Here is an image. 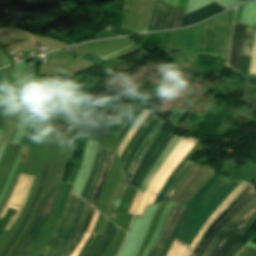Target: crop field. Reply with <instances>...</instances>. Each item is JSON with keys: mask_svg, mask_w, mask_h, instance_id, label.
<instances>
[{"mask_svg": "<svg viewBox=\"0 0 256 256\" xmlns=\"http://www.w3.org/2000/svg\"><path fill=\"white\" fill-rule=\"evenodd\" d=\"M240 182V180L232 182L221 176L194 206L176 238L189 246L203 223ZM177 239H175L167 256H184L187 247L182 245Z\"/></svg>", "mask_w": 256, "mask_h": 256, "instance_id": "crop-field-1", "label": "crop field"}, {"mask_svg": "<svg viewBox=\"0 0 256 256\" xmlns=\"http://www.w3.org/2000/svg\"><path fill=\"white\" fill-rule=\"evenodd\" d=\"M79 199L80 197H78L73 191H71L66 208H65L64 215L62 214L63 217L61 218L57 228L55 229L54 233L50 237L46 246L38 256H51L53 254L62 236L64 235L65 231L67 230L69 224L71 223L75 215V212L78 207Z\"/></svg>", "mask_w": 256, "mask_h": 256, "instance_id": "crop-field-2", "label": "crop field"}, {"mask_svg": "<svg viewBox=\"0 0 256 256\" xmlns=\"http://www.w3.org/2000/svg\"><path fill=\"white\" fill-rule=\"evenodd\" d=\"M57 189L47 193L43 206L36 217L35 221L33 222L24 242L16 251L13 256H24L30 247L35 242L36 238L38 237L39 233L41 232L47 218L49 217L52 206L56 197Z\"/></svg>", "mask_w": 256, "mask_h": 256, "instance_id": "crop-field-3", "label": "crop field"}, {"mask_svg": "<svg viewBox=\"0 0 256 256\" xmlns=\"http://www.w3.org/2000/svg\"><path fill=\"white\" fill-rule=\"evenodd\" d=\"M186 3L187 0H180L178 7L185 8ZM176 9L177 8L174 6L168 5L157 0L152 14L148 32L171 28L176 13Z\"/></svg>", "mask_w": 256, "mask_h": 256, "instance_id": "crop-field-4", "label": "crop field"}, {"mask_svg": "<svg viewBox=\"0 0 256 256\" xmlns=\"http://www.w3.org/2000/svg\"><path fill=\"white\" fill-rule=\"evenodd\" d=\"M33 177L26 176V175H20L18 182L14 188V191L10 197V200L1 214L0 218H2L7 210L8 207L17 209V213L13 215L8 223V225L5 227V230H9L15 219L17 218L25 200L27 197V194L29 192L31 183H32Z\"/></svg>", "mask_w": 256, "mask_h": 256, "instance_id": "crop-field-5", "label": "crop field"}, {"mask_svg": "<svg viewBox=\"0 0 256 256\" xmlns=\"http://www.w3.org/2000/svg\"><path fill=\"white\" fill-rule=\"evenodd\" d=\"M169 136H170V134H167L161 130L159 132V134L155 137V139L150 144L142 162L140 163V165L138 166V168L136 169V171L134 173V176L130 182L131 186L136 187L140 178L146 171L147 167L149 166V164L151 163V161L153 160V158L158 153V151L162 147L163 143Z\"/></svg>", "mask_w": 256, "mask_h": 256, "instance_id": "crop-field-6", "label": "crop field"}, {"mask_svg": "<svg viewBox=\"0 0 256 256\" xmlns=\"http://www.w3.org/2000/svg\"><path fill=\"white\" fill-rule=\"evenodd\" d=\"M246 25L234 24L228 65L239 71Z\"/></svg>", "mask_w": 256, "mask_h": 256, "instance_id": "crop-field-7", "label": "crop field"}, {"mask_svg": "<svg viewBox=\"0 0 256 256\" xmlns=\"http://www.w3.org/2000/svg\"><path fill=\"white\" fill-rule=\"evenodd\" d=\"M47 171H48V165L44 164L43 166V171H42V175H41V178L39 180V183L36 187V190H35V194H34V197L32 199V202L30 204V208L28 209L24 219L22 220V222L20 223V225L17 227L15 233L12 235V237L8 240V242L5 244L4 248L2 249L1 253H0V256H5L9 249L11 248V246L13 245L14 241L16 240V238L18 237L20 231L22 230L24 224L26 223L27 219L29 218L33 208L35 207L37 201H38V198H39V195L42 191V188H43V184H44V181L46 179V175H47Z\"/></svg>", "mask_w": 256, "mask_h": 256, "instance_id": "crop-field-8", "label": "crop field"}, {"mask_svg": "<svg viewBox=\"0 0 256 256\" xmlns=\"http://www.w3.org/2000/svg\"><path fill=\"white\" fill-rule=\"evenodd\" d=\"M190 139H181L179 144L176 146L174 151L171 153V155L168 157V159L165 161V163L162 165V167L159 169L158 173L156 174L155 178L153 181L150 183V185L147 187L146 192L138 206V210L136 214H142L144 207L147 203V200L154 189L155 185L159 181L160 177L162 174L165 172L169 164L172 162V160L175 158V156L178 154V152L182 149V147L189 141Z\"/></svg>", "mask_w": 256, "mask_h": 256, "instance_id": "crop-field-9", "label": "crop field"}, {"mask_svg": "<svg viewBox=\"0 0 256 256\" xmlns=\"http://www.w3.org/2000/svg\"><path fill=\"white\" fill-rule=\"evenodd\" d=\"M224 10H226V9L220 7L219 5H217L213 2L210 5L202 8V9H199V10L194 11L188 15H185L183 18L181 27L197 23V22L202 21L206 18H209L215 14H218Z\"/></svg>", "mask_w": 256, "mask_h": 256, "instance_id": "crop-field-10", "label": "crop field"}, {"mask_svg": "<svg viewBox=\"0 0 256 256\" xmlns=\"http://www.w3.org/2000/svg\"><path fill=\"white\" fill-rule=\"evenodd\" d=\"M197 142V140H193L191 139L184 147L183 149L180 151V153L176 156V158L173 160V162L170 164V166L168 167V169L166 170V172L163 174V176L161 177L160 181L158 182V184L156 185L154 191L152 192L147 205L153 204L156 195L158 193V191L160 190V188L162 187L163 183L165 182V180L167 179V177L170 175V173L175 169V167L178 165V163L185 157V155L190 151V149L195 145V143ZM146 205V206H147Z\"/></svg>", "mask_w": 256, "mask_h": 256, "instance_id": "crop-field-11", "label": "crop field"}, {"mask_svg": "<svg viewBox=\"0 0 256 256\" xmlns=\"http://www.w3.org/2000/svg\"><path fill=\"white\" fill-rule=\"evenodd\" d=\"M253 187L249 184L241 193H239L236 198L227 206V208L220 214V216L211 224V226L206 230L201 240L195 247L193 253L196 256L199 252L202 244L211 234L213 229L219 224V222L232 210V208L252 189Z\"/></svg>", "mask_w": 256, "mask_h": 256, "instance_id": "crop-field-12", "label": "crop field"}, {"mask_svg": "<svg viewBox=\"0 0 256 256\" xmlns=\"http://www.w3.org/2000/svg\"><path fill=\"white\" fill-rule=\"evenodd\" d=\"M247 185H248V183L242 181L240 183V185L229 195V197L216 209V211L212 214V216L204 223V225H203L202 229L200 230L199 234L197 235V237L194 239V241L189 246L192 249V251H193L194 247L196 246V244L198 243L201 236L203 235L204 231L218 217V215L226 208V206L233 200V198L239 192H241Z\"/></svg>", "mask_w": 256, "mask_h": 256, "instance_id": "crop-field-13", "label": "crop field"}, {"mask_svg": "<svg viewBox=\"0 0 256 256\" xmlns=\"http://www.w3.org/2000/svg\"><path fill=\"white\" fill-rule=\"evenodd\" d=\"M256 196V192L254 188L233 208V210L221 221V223L214 229L212 234L209 236V238L205 241L203 244L199 254L197 256H202L204 250L208 246L209 242L213 238V236L216 234V232L223 227L232 217H234L251 199H253Z\"/></svg>", "mask_w": 256, "mask_h": 256, "instance_id": "crop-field-14", "label": "crop field"}, {"mask_svg": "<svg viewBox=\"0 0 256 256\" xmlns=\"http://www.w3.org/2000/svg\"><path fill=\"white\" fill-rule=\"evenodd\" d=\"M254 199L251 200L231 221H229L223 228H221L218 233L214 236L212 241L210 242L209 246L205 250L203 256H209L213 247L216 245V243L219 241L221 236L227 232L237 221H239L254 205H255Z\"/></svg>", "mask_w": 256, "mask_h": 256, "instance_id": "crop-field-15", "label": "crop field"}, {"mask_svg": "<svg viewBox=\"0 0 256 256\" xmlns=\"http://www.w3.org/2000/svg\"><path fill=\"white\" fill-rule=\"evenodd\" d=\"M165 122L164 121H160L158 123V125L153 129V131L149 134V136L146 138V140L143 142L139 152L137 153V155L135 156L132 166L125 178V182L129 183L135 169L137 168L140 160L142 159V157L144 156L149 144L151 143V141L154 139V137L157 135V133L160 131V128L163 126Z\"/></svg>", "mask_w": 256, "mask_h": 256, "instance_id": "crop-field-16", "label": "crop field"}, {"mask_svg": "<svg viewBox=\"0 0 256 256\" xmlns=\"http://www.w3.org/2000/svg\"><path fill=\"white\" fill-rule=\"evenodd\" d=\"M256 212V206L253 207L233 228H231L217 243L215 246L212 254L210 256H218L223 246L230 240V238L236 234L241 227L249 221V219L254 215Z\"/></svg>", "mask_w": 256, "mask_h": 256, "instance_id": "crop-field-17", "label": "crop field"}, {"mask_svg": "<svg viewBox=\"0 0 256 256\" xmlns=\"http://www.w3.org/2000/svg\"><path fill=\"white\" fill-rule=\"evenodd\" d=\"M180 139V136L175 135L172 140L169 142V144L167 145V147L164 149V151L162 152V154L160 155V157L157 159V161L155 162V164L153 165L152 169L150 170V172L148 173V175L146 176V178L144 179V181L142 182L141 186L139 187V191L143 192V190L147 187L148 183L150 182V180L152 179L153 175L155 174V172L157 171V169L159 168V166L163 163V161L166 159V157L168 156V154L170 153V151L173 149V147L177 144L178 140Z\"/></svg>", "mask_w": 256, "mask_h": 256, "instance_id": "crop-field-18", "label": "crop field"}, {"mask_svg": "<svg viewBox=\"0 0 256 256\" xmlns=\"http://www.w3.org/2000/svg\"><path fill=\"white\" fill-rule=\"evenodd\" d=\"M160 119H158L156 116L151 120V122L147 125V127L144 129V131L141 133L139 139L137 140L136 144L134 145L132 151L130 152L128 158L126 159L123 169L122 171L124 172V174L126 175L132 160L137 152V150L139 149L140 145L142 144V142L144 141V139L146 138V136L149 134V132L152 130V128L157 124V122Z\"/></svg>", "mask_w": 256, "mask_h": 256, "instance_id": "crop-field-19", "label": "crop field"}, {"mask_svg": "<svg viewBox=\"0 0 256 256\" xmlns=\"http://www.w3.org/2000/svg\"><path fill=\"white\" fill-rule=\"evenodd\" d=\"M84 201L81 199L80 200V204H79V208H78V211L71 223V225L69 226L68 230L66 231L60 245L58 246V248L56 249V251L54 252V254L52 256H58L59 253L61 252V250L63 249V247L65 246L66 242L68 241L69 237L71 236L77 222H78V219L82 213V210H83V206H84Z\"/></svg>", "mask_w": 256, "mask_h": 256, "instance_id": "crop-field-20", "label": "crop field"}, {"mask_svg": "<svg viewBox=\"0 0 256 256\" xmlns=\"http://www.w3.org/2000/svg\"><path fill=\"white\" fill-rule=\"evenodd\" d=\"M155 116L154 113L150 112L149 115L146 117V119L144 120V122L141 124V126L139 127V129L136 131V133L133 135V137L131 138L130 142L128 143L127 147L125 148V150L122 152L121 154V161H122V165L125 161V159L127 158L132 146L134 145V143L136 142V140L138 139L140 133L142 132V130L145 128V126L150 122V120Z\"/></svg>", "mask_w": 256, "mask_h": 256, "instance_id": "crop-field-21", "label": "crop field"}, {"mask_svg": "<svg viewBox=\"0 0 256 256\" xmlns=\"http://www.w3.org/2000/svg\"><path fill=\"white\" fill-rule=\"evenodd\" d=\"M149 113V111L144 110L142 112V114L138 117V119L136 120V122L134 123V125L131 127V129L129 130V132L126 134V136L124 137V139L122 140V142L120 143L119 147H118V151H119V157L121 152L123 151V149L126 147L128 141L130 140V138L132 137V135L135 133V131L138 129V127L140 126V124L142 123V121L145 119V117L147 116V114Z\"/></svg>", "mask_w": 256, "mask_h": 256, "instance_id": "crop-field-22", "label": "crop field"}, {"mask_svg": "<svg viewBox=\"0 0 256 256\" xmlns=\"http://www.w3.org/2000/svg\"><path fill=\"white\" fill-rule=\"evenodd\" d=\"M201 169V166L195 165L189 173L184 177V179L181 181L177 189L175 190L173 196L171 197L170 201L175 202L177 197L180 195V193L183 191V189L187 186V184L191 181V179L197 174V172Z\"/></svg>", "mask_w": 256, "mask_h": 256, "instance_id": "crop-field-23", "label": "crop field"}, {"mask_svg": "<svg viewBox=\"0 0 256 256\" xmlns=\"http://www.w3.org/2000/svg\"><path fill=\"white\" fill-rule=\"evenodd\" d=\"M188 160L183 159L182 162L177 166V168L174 170V172L171 174V176L168 178V180L165 182L163 188L161 189L156 201L160 202L172 182L175 180V178L178 176V174L181 172V170L184 168V166L187 164ZM164 198V197H163ZM163 200V199H162Z\"/></svg>", "mask_w": 256, "mask_h": 256, "instance_id": "crop-field-24", "label": "crop field"}, {"mask_svg": "<svg viewBox=\"0 0 256 256\" xmlns=\"http://www.w3.org/2000/svg\"><path fill=\"white\" fill-rule=\"evenodd\" d=\"M113 154H114V151L110 150V152H109V154L107 156V161H106L105 168H104L103 173H102V175H101V177H100V179H99V181H98V183L96 185V188H95V191H94L91 203H90V205L93 206V207L95 206V202H96L97 196L99 194L100 188H101L102 183L104 181V178H105V176L107 174V171H108V169L110 167V164H111V162L113 160Z\"/></svg>", "mask_w": 256, "mask_h": 256, "instance_id": "crop-field-25", "label": "crop field"}, {"mask_svg": "<svg viewBox=\"0 0 256 256\" xmlns=\"http://www.w3.org/2000/svg\"><path fill=\"white\" fill-rule=\"evenodd\" d=\"M108 150H109L108 148H105V147L103 148V152H102V155H101V159H100V162H99V165H98L97 172L95 174L93 183H92V185H91V187H90V189L88 191V194H87L86 201L88 203H90V200H91V197H92V194H93L96 182H97V180H98L99 176L101 175L102 170L104 168L105 160H106V156H107Z\"/></svg>", "mask_w": 256, "mask_h": 256, "instance_id": "crop-field-26", "label": "crop field"}, {"mask_svg": "<svg viewBox=\"0 0 256 256\" xmlns=\"http://www.w3.org/2000/svg\"><path fill=\"white\" fill-rule=\"evenodd\" d=\"M210 169V167L204 165L199 173L193 178V180L188 184V186L181 193L179 198L176 200L178 203H182L188 193L193 189V187L198 183V181L203 177V175Z\"/></svg>", "mask_w": 256, "mask_h": 256, "instance_id": "crop-field-27", "label": "crop field"}, {"mask_svg": "<svg viewBox=\"0 0 256 256\" xmlns=\"http://www.w3.org/2000/svg\"><path fill=\"white\" fill-rule=\"evenodd\" d=\"M179 207H180V204L174 203V205H173V207H172V209H171V211H170V214H169L168 218L166 219V221H165V223H164V225H163V227H162V229H161V231H160V233H159V235H158V237H157V240H156V242L154 243V245H153L151 251L149 252L148 256H149L153 251H155V250L157 249V247H158V245H159V243H160V241H161V239H162V237H163V235H164V233H165V231H166V229H167L169 223L171 222V220H172L174 214H176V212H177V210L179 209Z\"/></svg>", "mask_w": 256, "mask_h": 256, "instance_id": "crop-field-28", "label": "crop field"}, {"mask_svg": "<svg viewBox=\"0 0 256 256\" xmlns=\"http://www.w3.org/2000/svg\"><path fill=\"white\" fill-rule=\"evenodd\" d=\"M88 210H89V205L87 203H85V207H84V211H83V214L76 226V229L74 231V233L72 234V236L70 237L69 241L67 242L66 246L64 247L63 251L61 252V254L59 256H64L67 252V250L69 249V247L71 246V244L73 243L74 239L76 238L79 230L81 229V227L83 226L84 224V221H85V218L87 216V213H88Z\"/></svg>", "mask_w": 256, "mask_h": 256, "instance_id": "crop-field-29", "label": "crop field"}, {"mask_svg": "<svg viewBox=\"0 0 256 256\" xmlns=\"http://www.w3.org/2000/svg\"><path fill=\"white\" fill-rule=\"evenodd\" d=\"M102 148L101 146H98L97 147V151H96V154H95V157H94V161H93V165H92V169H91V173H90V176L82 190V194H81V197L82 198H86V194H87V190L93 180V177H94V174L96 172V168H97V164H98V161H99V158H100V155H101V151H102Z\"/></svg>", "mask_w": 256, "mask_h": 256, "instance_id": "crop-field-30", "label": "crop field"}, {"mask_svg": "<svg viewBox=\"0 0 256 256\" xmlns=\"http://www.w3.org/2000/svg\"><path fill=\"white\" fill-rule=\"evenodd\" d=\"M126 103L122 102L120 99H116V101L113 103V105L110 107V109L105 114L109 122L112 123L117 118L119 113L122 111V109L125 107Z\"/></svg>", "mask_w": 256, "mask_h": 256, "instance_id": "crop-field-31", "label": "crop field"}, {"mask_svg": "<svg viewBox=\"0 0 256 256\" xmlns=\"http://www.w3.org/2000/svg\"><path fill=\"white\" fill-rule=\"evenodd\" d=\"M94 212V208L90 207V210H89V214H88V217L86 219V222H85V225L82 227L80 233L78 234L75 242L73 243V245L71 246V248L69 249V251L67 252V254L65 256H70L74 250L76 249V247L78 246L80 240L82 239L83 235L85 234L88 226H89V223L91 221V217H92V214Z\"/></svg>", "mask_w": 256, "mask_h": 256, "instance_id": "crop-field-32", "label": "crop field"}, {"mask_svg": "<svg viewBox=\"0 0 256 256\" xmlns=\"http://www.w3.org/2000/svg\"><path fill=\"white\" fill-rule=\"evenodd\" d=\"M184 207L185 206L181 205L180 209L178 210L177 214L175 215L173 221L171 222V224H170V226H169V228H168V230H167V232H166V234H165V236H164V238H163V240H162V242L160 244L161 247H164V245H165V243H166V241H167L171 231L173 230L174 226L177 224V222H178V220H179V218H180V216L182 214V211H183ZM161 247H158V249H157V251H156L154 256H159L160 255V253H161V251L163 249Z\"/></svg>", "mask_w": 256, "mask_h": 256, "instance_id": "crop-field-33", "label": "crop field"}, {"mask_svg": "<svg viewBox=\"0 0 256 256\" xmlns=\"http://www.w3.org/2000/svg\"><path fill=\"white\" fill-rule=\"evenodd\" d=\"M195 163L189 161V163L187 164V166L184 168V170L180 173V175L177 177V179L174 181V183L172 184V186L170 187L169 191L167 192L163 202H168L170 197L172 196L174 190L176 189V187L178 186V184L180 183V181L183 179V177L186 175V173L191 169V167L194 165Z\"/></svg>", "mask_w": 256, "mask_h": 256, "instance_id": "crop-field-34", "label": "crop field"}, {"mask_svg": "<svg viewBox=\"0 0 256 256\" xmlns=\"http://www.w3.org/2000/svg\"><path fill=\"white\" fill-rule=\"evenodd\" d=\"M214 174L212 168L204 175V177L200 180V182L195 186V188L190 192V194L183 201L184 204H187L190 199L195 195L198 189ZM200 190V189H199Z\"/></svg>", "mask_w": 256, "mask_h": 256, "instance_id": "crop-field-35", "label": "crop field"}, {"mask_svg": "<svg viewBox=\"0 0 256 256\" xmlns=\"http://www.w3.org/2000/svg\"><path fill=\"white\" fill-rule=\"evenodd\" d=\"M242 238L240 232H238L223 248L219 256H226L236 243Z\"/></svg>", "mask_w": 256, "mask_h": 256, "instance_id": "crop-field-36", "label": "crop field"}, {"mask_svg": "<svg viewBox=\"0 0 256 256\" xmlns=\"http://www.w3.org/2000/svg\"><path fill=\"white\" fill-rule=\"evenodd\" d=\"M126 184L123 182V184L121 185L120 189L118 190L117 194H116V197H115V201H114V205H113V208L111 210V213H110V217L109 219L113 222L114 221V217H115V213H116V208H117V205L120 201V198L123 194V191L124 189L126 188Z\"/></svg>", "mask_w": 256, "mask_h": 256, "instance_id": "crop-field-37", "label": "crop field"}, {"mask_svg": "<svg viewBox=\"0 0 256 256\" xmlns=\"http://www.w3.org/2000/svg\"><path fill=\"white\" fill-rule=\"evenodd\" d=\"M138 108V105L134 104V106L132 107V109L130 110V112L127 114V116L125 117V119L119 124V126L116 128V130L114 131L116 137L117 135L120 133V131L123 129V127L129 122V120L134 116L136 110Z\"/></svg>", "mask_w": 256, "mask_h": 256, "instance_id": "crop-field-38", "label": "crop field"}, {"mask_svg": "<svg viewBox=\"0 0 256 256\" xmlns=\"http://www.w3.org/2000/svg\"><path fill=\"white\" fill-rule=\"evenodd\" d=\"M144 110V107L140 106L135 116L130 120V122L125 126V128L122 130V132L117 137L118 139L122 140V138L125 136V134L128 132L130 127L133 125L137 117L141 114V112Z\"/></svg>", "mask_w": 256, "mask_h": 256, "instance_id": "crop-field-39", "label": "crop field"}, {"mask_svg": "<svg viewBox=\"0 0 256 256\" xmlns=\"http://www.w3.org/2000/svg\"><path fill=\"white\" fill-rule=\"evenodd\" d=\"M249 73L256 75V32H255V35H254V42H253V49H252V56H251V63H250Z\"/></svg>", "mask_w": 256, "mask_h": 256, "instance_id": "crop-field-40", "label": "crop field"}, {"mask_svg": "<svg viewBox=\"0 0 256 256\" xmlns=\"http://www.w3.org/2000/svg\"><path fill=\"white\" fill-rule=\"evenodd\" d=\"M82 59H84L85 61L89 62L90 64H92L94 66L102 64L104 62H107V61L103 60L102 58H100L94 54H91V53L85 55Z\"/></svg>", "mask_w": 256, "mask_h": 256, "instance_id": "crop-field-41", "label": "crop field"}, {"mask_svg": "<svg viewBox=\"0 0 256 256\" xmlns=\"http://www.w3.org/2000/svg\"><path fill=\"white\" fill-rule=\"evenodd\" d=\"M118 227H116L115 225L113 226V229L109 235V237L107 238L106 242L104 243V245L102 246V248L100 249L99 253L97 254V256H101L103 254V252L105 251V249L107 248V246L110 244V242L112 241V239L114 238V236L116 235L117 231H118Z\"/></svg>", "mask_w": 256, "mask_h": 256, "instance_id": "crop-field-42", "label": "crop field"}, {"mask_svg": "<svg viewBox=\"0 0 256 256\" xmlns=\"http://www.w3.org/2000/svg\"><path fill=\"white\" fill-rule=\"evenodd\" d=\"M185 9L178 8L172 28L180 27Z\"/></svg>", "mask_w": 256, "mask_h": 256, "instance_id": "crop-field-43", "label": "crop field"}, {"mask_svg": "<svg viewBox=\"0 0 256 256\" xmlns=\"http://www.w3.org/2000/svg\"><path fill=\"white\" fill-rule=\"evenodd\" d=\"M173 137V134L166 140L165 144L163 145V147L161 148V150L159 151V153L156 155V157L154 158V160L152 161V163L150 164V166L148 167L147 171L145 172V174L143 175V177L141 178L137 189L139 187V185L141 184L143 178L145 177V175L147 174V172L150 170V168L152 167L153 163L156 161V159L158 158V156L160 155V153L162 152V150L165 148V146L167 145V143L170 141V139Z\"/></svg>", "mask_w": 256, "mask_h": 256, "instance_id": "crop-field-44", "label": "crop field"}, {"mask_svg": "<svg viewBox=\"0 0 256 256\" xmlns=\"http://www.w3.org/2000/svg\"><path fill=\"white\" fill-rule=\"evenodd\" d=\"M95 234L94 233H91L90 237L88 238L85 246L83 247V249L80 251L79 255L78 256H83L85 251L87 250L88 246L90 245L91 241L93 240Z\"/></svg>", "mask_w": 256, "mask_h": 256, "instance_id": "crop-field-45", "label": "crop field"}, {"mask_svg": "<svg viewBox=\"0 0 256 256\" xmlns=\"http://www.w3.org/2000/svg\"><path fill=\"white\" fill-rule=\"evenodd\" d=\"M114 100H115V98L110 97L109 100L106 102V104L103 106V108L101 110L103 111L104 114L107 111V109L109 108V106L113 103Z\"/></svg>", "mask_w": 256, "mask_h": 256, "instance_id": "crop-field-46", "label": "crop field"}, {"mask_svg": "<svg viewBox=\"0 0 256 256\" xmlns=\"http://www.w3.org/2000/svg\"><path fill=\"white\" fill-rule=\"evenodd\" d=\"M241 248L242 246L236 244V246L232 249V251L228 254V256H234Z\"/></svg>", "mask_w": 256, "mask_h": 256, "instance_id": "crop-field-47", "label": "crop field"}, {"mask_svg": "<svg viewBox=\"0 0 256 256\" xmlns=\"http://www.w3.org/2000/svg\"><path fill=\"white\" fill-rule=\"evenodd\" d=\"M191 253H192L191 250L188 249V251L186 252L185 256H189Z\"/></svg>", "mask_w": 256, "mask_h": 256, "instance_id": "crop-field-48", "label": "crop field"}, {"mask_svg": "<svg viewBox=\"0 0 256 256\" xmlns=\"http://www.w3.org/2000/svg\"><path fill=\"white\" fill-rule=\"evenodd\" d=\"M242 2L245 1V0H241Z\"/></svg>", "mask_w": 256, "mask_h": 256, "instance_id": "crop-field-49", "label": "crop field"}, {"mask_svg": "<svg viewBox=\"0 0 256 256\" xmlns=\"http://www.w3.org/2000/svg\"><path fill=\"white\" fill-rule=\"evenodd\" d=\"M191 256H193V254H191Z\"/></svg>", "mask_w": 256, "mask_h": 256, "instance_id": "crop-field-50", "label": "crop field"}]
</instances>
